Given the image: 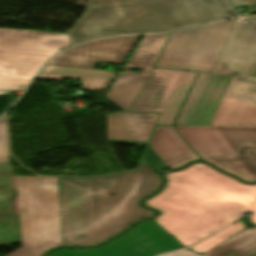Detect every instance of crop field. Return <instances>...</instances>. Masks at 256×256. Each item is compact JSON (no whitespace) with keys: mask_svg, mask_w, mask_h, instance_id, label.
<instances>
[{"mask_svg":"<svg viewBox=\"0 0 256 256\" xmlns=\"http://www.w3.org/2000/svg\"><path fill=\"white\" fill-rule=\"evenodd\" d=\"M1 161H9L6 137V116L0 119V162Z\"/></svg>","mask_w":256,"mask_h":256,"instance_id":"24","label":"crop field"},{"mask_svg":"<svg viewBox=\"0 0 256 256\" xmlns=\"http://www.w3.org/2000/svg\"><path fill=\"white\" fill-rule=\"evenodd\" d=\"M256 252V228L246 229L202 256H250ZM161 256H200L188 250Z\"/></svg>","mask_w":256,"mask_h":256,"instance_id":"18","label":"crop field"},{"mask_svg":"<svg viewBox=\"0 0 256 256\" xmlns=\"http://www.w3.org/2000/svg\"><path fill=\"white\" fill-rule=\"evenodd\" d=\"M43 73L113 80L116 72L47 66Z\"/></svg>","mask_w":256,"mask_h":256,"instance_id":"22","label":"crop field"},{"mask_svg":"<svg viewBox=\"0 0 256 256\" xmlns=\"http://www.w3.org/2000/svg\"><path fill=\"white\" fill-rule=\"evenodd\" d=\"M217 128L256 179V128Z\"/></svg>","mask_w":256,"mask_h":256,"instance_id":"17","label":"crop field"},{"mask_svg":"<svg viewBox=\"0 0 256 256\" xmlns=\"http://www.w3.org/2000/svg\"><path fill=\"white\" fill-rule=\"evenodd\" d=\"M148 78L149 76L144 75L120 73L105 98L127 111Z\"/></svg>","mask_w":256,"mask_h":256,"instance_id":"20","label":"crop field"},{"mask_svg":"<svg viewBox=\"0 0 256 256\" xmlns=\"http://www.w3.org/2000/svg\"><path fill=\"white\" fill-rule=\"evenodd\" d=\"M234 6L255 4L256 0H232Z\"/></svg>","mask_w":256,"mask_h":256,"instance_id":"29","label":"crop field"},{"mask_svg":"<svg viewBox=\"0 0 256 256\" xmlns=\"http://www.w3.org/2000/svg\"><path fill=\"white\" fill-rule=\"evenodd\" d=\"M197 73L154 69L128 111L160 113L155 125H172Z\"/></svg>","mask_w":256,"mask_h":256,"instance_id":"7","label":"crop field"},{"mask_svg":"<svg viewBox=\"0 0 256 256\" xmlns=\"http://www.w3.org/2000/svg\"><path fill=\"white\" fill-rule=\"evenodd\" d=\"M175 128L204 161H208L244 180L255 181L216 127Z\"/></svg>","mask_w":256,"mask_h":256,"instance_id":"9","label":"crop field"},{"mask_svg":"<svg viewBox=\"0 0 256 256\" xmlns=\"http://www.w3.org/2000/svg\"><path fill=\"white\" fill-rule=\"evenodd\" d=\"M147 151L150 153V155L155 159V161L160 165L162 169L167 168L165 164L160 160V158L155 154V152L148 146Z\"/></svg>","mask_w":256,"mask_h":256,"instance_id":"28","label":"crop field"},{"mask_svg":"<svg viewBox=\"0 0 256 256\" xmlns=\"http://www.w3.org/2000/svg\"><path fill=\"white\" fill-rule=\"evenodd\" d=\"M244 229L246 228L243 222L236 221L190 249L203 254Z\"/></svg>","mask_w":256,"mask_h":256,"instance_id":"21","label":"crop field"},{"mask_svg":"<svg viewBox=\"0 0 256 256\" xmlns=\"http://www.w3.org/2000/svg\"><path fill=\"white\" fill-rule=\"evenodd\" d=\"M145 161L150 165V167L156 172H163L159 165L154 161V159L146 152L144 156Z\"/></svg>","mask_w":256,"mask_h":256,"instance_id":"26","label":"crop field"},{"mask_svg":"<svg viewBox=\"0 0 256 256\" xmlns=\"http://www.w3.org/2000/svg\"><path fill=\"white\" fill-rule=\"evenodd\" d=\"M232 76L199 73L174 125H209Z\"/></svg>","mask_w":256,"mask_h":256,"instance_id":"10","label":"crop field"},{"mask_svg":"<svg viewBox=\"0 0 256 256\" xmlns=\"http://www.w3.org/2000/svg\"><path fill=\"white\" fill-rule=\"evenodd\" d=\"M15 180L22 247L7 256H43L63 246L57 177Z\"/></svg>","mask_w":256,"mask_h":256,"instance_id":"3","label":"crop field"},{"mask_svg":"<svg viewBox=\"0 0 256 256\" xmlns=\"http://www.w3.org/2000/svg\"><path fill=\"white\" fill-rule=\"evenodd\" d=\"M128 1H136V0H90L91 5L120 3V2H128Z\"/></svg>","mask_w":256,"mask_h":256,"instance_id":"27","label":"crop field"},{"mask_svg":"<svg viewBox=\"0 0 256 256\" xmlns=\"http://www.w3.org/2000/svg\"><path fill=\"white\" fill-rule=\"evenodd\" d=\"M70 46L68 35L0 28V89L24 90L49 59Z\"/></svg>","mask_w":256,"mask_h":256,"instance_id":"5","label":"crop field"},{"mask_svg":"<svg viewBox=\"0 0 256 256\" xmlns=\"http://www.w3.org/2000/svg\"><path fill=\"white\" fill-rule=\"evenodd\" d=\"M253 75H255L256 76V70H255V72H254V74Z\"/></svg>","mask_w":256,"mask_h":256,"instance_id":"31","label":"crop field"},{"mask_svg":"<svg viewBox=\"0 0 256 256\" xmlns=\"http://www.w3.org/2000/svg\"><path fill=\"white\" fill-rule=\"evenodd\" d=\"M149 145L169 169L198 159L172 127H156Z\"/></svg>","mask_w":256,"mask_h":256,"instance_id":"16","label":"crop field"},{"mask_svg":"<svg viewBox=\"0 0 256 256\" xmlns=\"http://www.w3.org/2000/svg\"><path fill=\"white\" fill-rule=\"evenodd\" d=\"M118 8L116 4L87 7L69 34L71 44L104 35L132 33Z\"/></svg>","mask_w":256,"mask_h":256,"instance_id":"14","label":"crop field"},{"mask_svg":"<svg viewBox=\"0 0 256 256\" xmlns=\"http://www.w3.org/2000/svg\"><path fill=\"white\" fill-rule=\"evenodd\" d=\"M63 77H68V76L41 74L38 78L58 81V80H62ZM75 78L82 81L83 83L82 88L89 89V90H97V91L105 90L110 82L108 80H98V79H88V78H78V77H75Z\"/></svg>","mask_w":256,"mask_h":256,"instance_id":"23","label":"crop field"},{"mask_svg":"<svg viewBox=\"0 0 256 256\" xmlns=\"http://www.w3.org/2000/svg\"><path fill=\"white\" fill-rule=\"evenodd\" d=\"M12 94L0 96V115H2L15 101V97H11Z\"/></svg>","mask_w":256,"mask_h":256,"instance_id":"25","label":"crop field"},{"mask_svg":"<svg viewBox=\"0 0 256 256\" xmlns=\"http://www.w3.org/2000/svg\"><path fill=\"white\" fill-rule=\"evenodd\" d=\"M64 246L98 245L153 214L140 199L161 181L144 162L139 170L95 176L58 177ZM114 194V196H109Z\"/></svg>","mask_w":256,"mask_h":256,"instance_id":"1","label":"crop field"},{"mask_svg":"<svg viewBox=\"0 0 256 256\" xmlns=\"http://www.w3.org/2000/svg\"><path fill=\"white\" fill-rule=\"evenodd\" d=\"M10 92H7V91H0V95L2 94H9Z\"/></svg>","mask_w":256,"mask_h":256,"instance_id":"30","label":"crop field"},{"mask_svg":"<svg viewBox=\"0 0 256 256\" xmlns=\"http://www.w3.org/2000/svg\"><path fill=\"white\" fill-rule=\"evenodd\" d=\"M169 33L144 36L141 43L135 50L131 60L124 68L125 73H131L130 69L141 70L140 73L150 75L152 67Z\"/></svg>","mask_w":256,"mask_h":256,"instance_id":"19","label":"crop field"},{"mask_svg":"<svg viewBox=\"0 0 256 256\" xmlns=\"http://www.w3.org/2000/svg\"><path fill=\"white\" fill-rule=\"evenodd\" d=\"M164 190L145 204L162 214L154 219L188 247L252 211L256 225V186H247L199 163L165 175Z\"/></svg>","mask_w":256,"mask_h":256,"instance_id":"2","label":"crop field"},{"mask_svg":"<svg viewBox=\"0 0 256 256\" xmlns=\"http://www.w3.org/2000/svg\"><path fill=\"white\" fill-rule=\"evenodd\" d=\"M117 6L133 33L176 30L236 14L228 0H144Z\"/></svg>","mask_w":256,"mask_h":256,"instance_id":"4","label":"crop field"},{"mask_svg":"<svg viewBox=\"0 0 256 256\" xmlns=\"http://www.w3.org/2000/svg\"><path fill=\"white\" fill-rule=\"evenodd\" d=\"M237 20L172 33L155 67L212 72Z\"/></svg>","mask_w":256,"mask_h":256,"instance_id":"6","label":"crop field"},{"mask_svg":"<svg viewBox=\"0 0 256 256\" xmlns=\"http://www.w3.org/2000/svg\"><path fill=\"white\" fill-rule=\"evenodd\" d=\"M256 256V255H255Z\"/></svg>","mask_w":256,"mask_h":256,"instance_id":"32","label":"crop field"},{"mask_svg":"<svg viewBox=\"0 0 256 256\" xmlns=\"http://www.w3.org/2000/svg\"><path fill=\"white\" fill-rule=\"evenodd\" d=\"M255 78L233 76L210 125H256Z\"/></svg>","mask_w":256,"mask_h":256,"instance_id":"11","label":"crop field"},{"mask_svg":"<svg viewBox=\"0 0 256 256\" xmlns=\"http://www.w3.org/2000/svg\"><path fill=\"white\" fill-rule=\"evenodd\" d=\"M182 248L154 223L148 221L101 249L61 250L51 256H155Z\"/></svg>","mask_w":256,"mask_h":256,"instance_id":"8","label":"crop field"},{"mask_svg":"<svg viewBox=\"0 0 256 256\" xmlns=\"http://www.w3.org/2000/svg\"><path fill=\"white\" fill-rule=\"evenodd\" d=\"M256 67V17L237 25L216 72L252 75Z\"/></svg>","mask_w":256,"mask_h":256,"instance_id":"13","label":"crop field"},{"mask_svg":"<svg viewBox=\"0 0 256 256\" xmlns=\"http://www.w3.org/2000/svg\"><path fill=\"white\" fill-rule=\"evenodd\" d=\"M158 115L138 112L106 115L108 142L146 145Z\"/></svg>","mask_w":256,"mask_h":256,"instance_id":"15","label":"crop field"},{"mask_svg":"<svg viewBox=\"0 0 256 256\" xmlns=\"http://www.w3.org/2000/svg\"><path fill=\"white\" fill-rule=\"evenodd\" d=\"M138 38L113 37L87 42L56 57L49 65L93 69L97 60L122 64Z\"/></svg>","mask_w":256,"mask_h":256,"instance_id":"12","label":"crop field"}]
</instances>
